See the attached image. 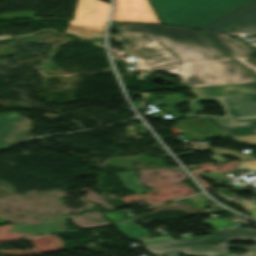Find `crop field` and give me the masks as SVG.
Segmentation results:
<instances>
[{"label":"crop field","instance_id":"8a807250","mask_svg":"<svg viewBox=\"0 0 256 256\" xmlns=\"http://www.w3.org/2000/svg\"><path fill=\"white\" fill-rule=\"evenodd\" d=\"M111 27L118 33L110 37L137 59L133 65L143 73L181 72L182 84L189 88L256 81L198 31L119 23ZM201 32L256 77V66L243 60L256 53L244 42Z\"/></svg>","mask_w":256,"mask_h":256},{"label":"crop field","instance_id":"ac0d7876","mask_svg":"<svg viewBox=\"0 0 256 256\" xmlns=\"http://www.w3.org/2000/svg\"><path fill=\"white\" fill-rule=\"evenodd\" d=\"M230 240H256V230L236 228L212 232V236L193 237L191 234L183 235L178 241L172 238L144 241V247L158 255L188 253L195 256H217L229 254L227 248L241 247L229 245ZM216 243L211 246L210 244ZM243 250H256V246L241 247Z\"/></svg>","mask_w":256,"mask_h":256},{"label":"crop field","instance_id":"34b2d1b8","mask_svg":"<svg viewBox=\"0 0 256 256\" xmlns=\"http://www.w3.org/2000/svg\"><path fill=\"white\" fill-rule=\"evenodd\" d=\"M165 25L198 29L248 0H148Z\"/></svg>","mask_w":256,"mask_h":256},{"label":"crop field","instance_id":"412701ff","mask_svg":"<svg viewBox=\"0 0 256 256\" xmlns=\"http://www.w3.org/2000/svg\"><path fill=\"white\" fill-rule=\"evenodd\" d=\"M199 101H217L225 109V117H217L211 115L195 116L196 112L203 109V106L199 105ZM189 108L191 112L186 113L185 116L189 117H209L216 124L223 123H235L245 121L256 120V94H243V95H232L225 97H214V98H200L191 101Z\"/></svg>","mask_w":256,"mask_h":256},{"label":"crop field","instance_id":"f4fd0767","mask_svg":"<svg viewBox=\"0 0 256 256\" xmlns=\"http://www.w3.org/2000/svg\"><path fill=\"white\" fill-rule=\"evenodd\" d=\"M110 5L99 0H78L74 18L69 22L67 34L81 38L103 37V26Z\"/></svg>","mask_w":256,"mask_h":256},{"label":"crop field","instance_id":"dd49c442","mask_svg":"<svg viewBox=\"0 0 256 256\" xmlns=\"http://www.w3.org/2000/svg\"><path fill=\"white\" fill-rule=\"evenodd\" d=\"M233 28L256 35V0L247 2L201 29L226 33Z\"/></svg>","mask_w":256,"mask_h":256},{"label":"crop field","instance_id":"e52e79f7","mask_svg":"<svg viewBox=\"0 0 256 256\" xmlns=\"http://www.w3.org/2000/svg\"><path fill=\"white\" fill-rule=\"evenodd\" d=\"M31 131L30 119L15 111L0 113V149L26 138Z\"/></svg>","mask_w":256,"mask_h":256},{"label":"crop field","instance_id":"d8731c3e","mask_svg":"<svg viewBox=\"0 0 256 256\" xmlns=\"http://www.w3.org/2000/svg\"><path fill=\"white\" fill-rule=\"evenodd\" d=\"M112 21L159 24L146 0H116Z\"/></svg>","mask_w":256,"mask_h":256},{"label":"crop field","instance_id":"5a996713","mask_svg":"<svg viewBox=\"0 0 256 256\" xmlns=\"http://www.w3.org/2000/svg\"><path fill=\"white\" fill-rule=\"evenodd\" d=\"M198 97L256 92V82L190 89Z\"/></svg>","mask_w":256,"mask_h":256},{"label":"crop field","instance_id":"3316defc","mask_svg":"<svg viewBox=\"0 0 256 256\" xmlns=\"http://www.w3.org/2000/svg\"><path fill=\"white\" fill-rule=\"evenodd\" d=\"M43 225L35 226L28 224L14 225L12 230L24 231V232H34V233H50L61 231L60 227L53 223V220L43 221Z\"/></svg>","mask_w":256,"mask_h":256},{"label":"crop field","instance_id":"28ad6ade","mask_svg":"<svg viewBox=\"0 0 256 256\" xmlns=\"http://www.w3.org/2000/svg\"><path fill=\"white\" fill-rule=\"evenodd\" d=\"M221 129L231 135L256 134V121L218 125Z\"/></svg>","mask_w":256,"mask_h":256},{"label":"crop field","instance_id":"d1516ede","mask_svg":"<svg viewBox=\"0 0 256 256\" xmlns=\"http://www.w3.org/2000/svg\"><path fill=\"white\" fill-rule=\"evenodd\" d=\"M116 176L124 183V185L127 188H129L137 193H141V192L147 190L146 188H144L138 184L136 175H135V171L116 173Z\"/></svg>","mask_w":256,"mask_h":256},{"label":"crop field","instance_id":"22f410ed","mask_svg":"<svg viewBox=\"0 0 256 256\" xmlns=\"http://www.w3.org/2000/svg\"><path fill=\"white\" fill-rule=\"evenodd\" d=\"M118 229L119 231L125 233L132 240L140 236L148 235L149 233L136 225L121 226V227H118ZM126 231L129 233H127Z\"/></svg>","mask_w":256,"mask_h":256},{"label":"crop field","instance_id":"cbeb9de0","mask_svg":"<svg viewBox=\"0 0 256 256\" xmlns=\"http://www.w3.org/2000/svg\"><path fill=\"white\" fill-rule=\"evenodd\" d=\"M214 153V155L211 157L212 159L216 160V161H219V162H227V160L223 159L222 157H220L221 154H230L236 158H239V159H249V158H254V157H251V156H247V155H239V154H236L232 151H228V150H220V149H211Z\"/></svg>","mask_w":256,"mask_h":256},{"label":"crop field","instance_id":"5142ce71","mask_svg":"<svg viewBox=\"0 0 256 256\" xmlns=\"http://www.w3.org/2000/svg\"><path fill=\"white\" fill-rule=\"evenodd\" d=\"M205 224L210 225L214 229L233 226L227 220L219 218L207 219L205 220Z\"/></svg>","mask_w":256,"mask_h":256},{"label":"crop field","instance_id":"d9b57169","mask_svg":"<svg viewBox=\"0 0 256 256\" xmlns=\"http://www.w3.org/2000/svg\"><path fill=\"white\" fill-rule=\"evenodd\" d=\"M238 168L252 170L256 172V160L240 161L237 164Z\"/></svg>","mask_w":256,"mask_h":256},{"label":"crop field","instance_id":"733c2abd","mask_svg":"<svg viewBox=\"0 0 256 256\" xmlns=\"http://www.w3.org/2000/svg\"><path fill=\"white\" fill-rule=\"evenodd\" d=\"M234 139L235 141L242 143H250V144H255L256 145V135H249V136H237V137H230Z\"/></svg>","mask_w":256,"mask_h":256},{"label":"crop field","instance_id":"4a817a6b","mask_svg":"<svg viewBox=\"0 0 256 256\" xmlns=\"http://www.w3.org/2000/svg\"><path fill=\"white\" fill-rule=\"evenodd\" d=\"M198 175H201V176H204V177H207L209 179H212L214 181H216L217 183H220L222 182V180L227 177V176H224L222 174H218V173H215V172H211L210 174H207V173H198ZM219 176V177H216V176Z\"/></svg>","mask_w":256,"mask_h":256},{"label":"crop field","instance_id":"bc2a9ffb","mask_svg":"<svg viewBox=\"0 0 256 256\" xmlns=\"http://www.w3.org/2000/svg\"><path fill=\"white\" fill-rule=\"evenodd\" d=\"M103 215L106 216L113 223L126 219L124 216L120 215L116 211L115 212H110V213H104Z\"/></svg>","mask_w":256,"mask_h":256},{"label":"crop field","instance_id":"214f88e0","mask_svg":"<svg viewBox=\"0 0 256 256\" xmlns=\"http://www.w3.org/2000/svg\"><path fill=\"white\" fill-rule=\"evenodd\" d=\"M218 193H220V194H222V195L230 194V192H229L228 189H221V190H218Z\"/></svg>","mask_w":256,"mask_h":256},{"label":"crop field","instance_id":"92a150f3","mask_svg":"<svg viewBox=\"0 0 256 256\" xmlns=\"http://www.w3.org/2000/svg\"><path fill=\"white\" fill-rule=\"evenodd\" d=\"M249 253H250V255H245V256H256V251H252ZM225 256H238V255L230 254V255H225Z\"/></svg>","mask_w":256,"mask_h":256},{"label":"crop field","instance_id":"dafd665d","mask_svg":"<svg viewBox=\"0 0 256 256\" xmlns=\"http://www.w3.org/2000/svg\"><path fill=\"white\" fill-rule=\"evenodd\" d=\"M255 209H256V208H253V209H250V210H249L251 216L254 217V218H256V210H255ZM251 211H252L253 213H251Z\"/></svg>","mask_w":256,"mask_h":256},{"label":"crop field","instance_id":"00972430","mask_svg":"<svg viewBox=\"0 0 256 256\" xmlns=\"http://www.w3.org/2000/svg\"><path fill=\"white\" fill-rule=\"evenodd\" d=\"M245 38L246 39H254V40H256V37L254 35H249V34H246Z\"/></svg>","mask_w":256,"mask_h":256},{"label":"crop field","instance_id":"a9b5d70f","mask_svg":"<svg viewBox=\"0 0 256 256\" xmlns=\"http://www.w3.org/2000/svg\"><path fill=\"white\" fill-rule=\"evenodd\" d=\"M131 224H134V223H132L131 221H128V222H125V223H122V224H118L117 226H121V225H131Z\"/></svg>","mask_w":256,"mask_h":256},{"label":"crop field","instance_id":"4177f3b9","mask_svg":"<svg viewBox=\"0 0 256 256\" xmlns=\"http://www.w3.org/2000/svg\"><path fill=\"white\" fill-rule=\"evenodd\" d=\"M243 41H245L243 38H242ZM246 42V41H245ZM247 43V42H246ZM248 44V43H247ZM249 45V44H248Z\"/></svg>","mask_w":256,"mask_h":256}]
</instances>
